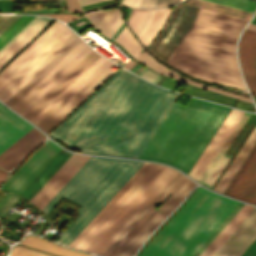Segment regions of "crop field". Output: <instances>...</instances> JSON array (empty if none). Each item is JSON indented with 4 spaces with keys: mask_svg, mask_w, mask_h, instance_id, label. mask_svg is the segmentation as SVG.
<instances>
[{
    "mask_svg": "<svg viewBox=\"0 0 256 256\" xmlns=\"http://www.w3.org/2000/svg\"><path fill=\"white\" fill-rule=\"evenodd\" d=\"M178 97L121 68L48 134L78 151L138 159Z\"/></svg>",
    "mask_w": 256,
    "mask_h": 256,
    "instance_id": "1",
    "label": "crop field"
},
{
    "mask_svg": "<svg viewBox=\"0 0 256 256\" xmlns=\"http://www.w3.org/2000/svg\"><path fill=\"white\" fill-rule=\"evenodd\" d=\"M247 21L200 8L168 64L196 78L245 89L235 59V41Z\"/></svg>",
    "mask_w": 256,
    "mask_h": 256,
    "instance_id": "2",
    "label": "crop field"
},
{
    "mask_svg": "<svg viewBox=\"0 0 256 256\" xmlns=\"http://www.w3.org/2000/svg\"><path fill=\"white\" fill-rule=\"evenodd\" d=\"M230 108L193 99L175 103L139 159L164 162L186 172Z\"/></svg>",
    "mask_w": 256,
    "mask_h": 256,
    "instance_id": "3",
    "label": "crop field"
},
{
    "mask_svg": "<svg viewBox=\"0 0 256 256\" xmlns=\"http://www.w3.org/2000/svg\"><path fill=\"white\" fill-rule=\"evenodd\" d=\"M142 163L91 156L41 210L47 214L62 197L81 206L56 240L68 246Z\"/></svg>",
    "mask_w": 256,
    "mask_h": 256,
    "instance_id": "4",
    "label": "crop field"
},
{
    "mask_svg": "<svg viewBox=\"0 0 256 256\" xmlns=\"http://www.w3.org/2000/svg\"><path fill=\"white\" fill-rule=\"evenodd\" d=\"M237 203L199 187L139 256H192Z\"/></svg>",
    "mask_w": 256,
    "mask_h": 256,
    "instance_id": "5",
    "label": "crop field"
},
{
    "mask_svg": "<svg viewBox=\"0 0 256 256\" xmlns=\"http://www.w3.org/2000/svg\"><path fill=\"white\" fill-rule=\"evenodd\" d=\"M160 164L151 163L137 178L128 190L98 221L89 233L75 247L84 250L90 242L109 224V222L125 207L140 188L158 170ZM178 173V171L161 166L150 180L133 197L126 207L111 221V223L92 241L85 251L103 255L123 229L132 219L158 194V192Z\"/></svg>",
    "mask_w": 256,
    "mask_h": 256,
    "instance_id": "6",
    "label": "crop field"
},
{
    "mask_svg": "<svg viewBox=\"0 0 256 256\" xmlns=\"http://www.w3.org/2000/svg\"><path fill=\"white\" fill-rule=\"evenodd\" d=\"M75 36L56 21L0 72V100L5 103Z\"/></svg>",
    "mask_w": 256,
    "mask_h": 256,
    "instance_id": "7",
    "label": "crop field"
},
{
    "mask_svg": "<svg viewBox=\"0 0 256 256\" xmlns=\"http://www.w3.org/2000/svg\"><path fill=\"white\" fill-rule=\"evenodd\" d=\"M199 7L248 20L253 15L252 12L205 0H189L187 4L179 3V5L174 7L171 11L160 34L148 48L149 51L161 61L168 63L188 34Z\"/></svg>",
    "mask_w": 256,
    "mask_h": 256,
    "instance_id": "8",
    "label": "crop field"
},
{
    "mask_svg": "<svg viewBox=\"0 0 256 256\" xmlns=\"http://www.w3.org/2000/svg\"><path fill=\"white\" fill-rule=\"evenodd\" d=\"M114 65L115 64L106 60L91 75L89 74L90 76H88L36 125L46 133L51 130L58 122H60L68 113H70L78 104H80L89 94H91L99 85H101L110 75L115 72L110 69Z\"/></svg>",
    "mask_w": 256,
    "mask_h": 256,
    "instance_id": "9",
    "label": "crop field"
},
{
    "mask_svg": "<svg viewBox=\"0 0 256 256\" xmlns=\"http://www.w3.org/2000/svg\"><path fill=\"white\" fill-rule=\"evenodd\" d=\"M90 50L82 41L10 108L22 115Z\"/></svg>",
    "mask_w": 256,
    "mask_h": 256,
    "instance_id": "10",
    "label": "crop field"
},
{
    "mask_svg": "<svg viewBox=\"0 0 256 256\" xmlns=\"http://www.w3.org/2000/svg\"><path fill=\"white\" fill-rule=\"evenodd\" d=\"M196 183L187 177L180 183L169 198L146 220L139 230L117 252L115 256H133L146 237L162 222V220L180 203ZM158 210L163 211L161 214Z\"/></svg>",
    "mask_w": 256,
    "mask_h": 256,
    "instance_id": "11",
    "label": "crop field"
},
{
    "mask_svg": "<svg viewBox=\"0 0 256 256\" xmlns=\"http://www.w3.org/2000/svg\"><path fill=\"white\" fill-rule=\"evenodd\" d=\"M59 150L58 146L47 141L29 156L1 188L19 195Z\"/></svg>",
    "mask_w": 256,
    "mask_h": 256,
    "instance_id": "12",
    "label": "crop field"
},
{
    "mask_svg": "<svg viewBox=\"0 0 256 256\" xmlns=\"http://www.w3.org/2000/svg\"><path fill=\"white\" fill-rule=\"evenodd\" d=\"M223 194L256 205V144Z\"/></svg>",
    "mask_w": 256,
    "mask_h": 256,
    "instance_id": "13",
    "label": "crop field"
},
{
    "mask_svg": "<svg viewBox=\"0 0 256 256\" xmlns=\"http://www.w3.org/2000/svg\"><path fill=\"white\" fill-rule=\"evenodd\" d=\"M89 157L73 154L30 202L41 210Z\"/></svg>",
    "mask_w": 256,
    "mask_h": 256,
    "instance_id": "14",
    "label": "crop field"
},
{
    "mask_svg": "<svg viewBox=\"0 0 256 256\" xmlns=\"http://www.w3.org/2000/svg\"><path fill=\"white\" fill-rule=\"evenodd\" d=\"M242 114V111L231 109L188 175L198 181Z\"/></svg>",
    "mask_w": 256,
    "mask_h": 256,
    "instance_id": "15",
    "label": "crop field"
},
{
    "mask_svg": "<svg viewBox=\"0 0 256 256\" xmlns=\"http://www.w3.org/2000/svg\"><path fill=\"white\" fill-rule=\"evenodd\" d=\"M256 238V207L213 256H240Z\"/></svg>",
    "mask_w": 256,
    "mask_h": 256,
    "instance_id": "16",
    "label": "crop field"
},
{
    "mask_svg": "<svg viewBox=\"0 0 256 256\" xmlns=\"http://www.w3.org/2000/svg\"><path fill=\"white\" fill-rule=\"evenodd\" d=\"M98 57L99 55L92 50L22 116L30 121Z\"/></svg>",
    "mask_w": 256,
    "mask_h": 256,
    "instance_id": "17",
    "label": "crop field"
},
{
    "mask_svg": "<svg viewBox=\"0 0 256 256\" xmlns=\"http://www.w3.org/2000/svg\"><path fill=\"white\" fill-rule=\"evenodd\" d=\"M35 129L33 128L2 154H0L1 168L9 171L20 163L32 148L46 138Z\"/></svg>",
    "mask_w": 256,
    "mask_h": 256,
    "instance_id": "18",
    "label": "crop field"
},
{
    "mask_svg": "<svg viewBox=\"0 0 256 256\" xmlns=\"http://www.w3.org/2000/svg\"><path fill=\"white\" fill-rule=\"evenodd\" d=\"M31 128L33 127L0 104V153Z\"/></svg>",
    "mask_w": 256,
    "mask_h": 256,
    "instance_id": "19",
    "label": "crop field"
},
{
    "mask_svg": "<svg viewBox=\"0 0 256 256\" xmlns=\"http://www.w3.org/2000/svg\"><path fill=\"white\" fill-rule=\"evenodd\" d=\"M250 113L244 112L243 116L239 120L238 124L226 140V142L223 144L215 158L212 160L204 174L201 176L198 182L202 183L206 187L210 188L213 186L229 160L231 159V156L225 154V150L230 145L234 137L237 135L241 127L246 122L247 118L249 117Z\"/></svg>",
    "mask_w": 256,
    "mask_h": 256,
    "instance_id": "20",
    "label": "crop field"
},
{
    "mask_svg": "<svg viewBox=\"0 0 256 256\" xmlns=\"http://www.w3.org/2000/svg\"><path fill=\"white\" fill-rule=\"evenodd\" d=\"M52 21V19L40 17L35 23H33L21 36H19L0 54V69Z\"/></svg>",
    "mask_w": 256,
    "mask_h": 256,
    "instance_id": "21",
    "label": "crop field"
},
{
    "mask_svg": "<svg viewBox=\"0 0 256 256\" xmlns=\"http://www.w3.org/2000/svg\"><path fill=\"white\" fill-rule=\"evenodd\" d=\"M71 154L61 149L19 196L29 201Z\"/></svg>",
    "mask_w": 256,
    "mask_h": 256,
    "instance_id": "22",
    "label": "crop field"
},
{
    "mask_svg": "<svg viewBox=\"0 0 256 256\" xmlns=\"http://www.w3.org/2000/svg\"><path fill=\"white\" fill-rule=\"evenodd\" d=\"M255 143L256 126L249 135V137L247 138V140L245 141V143L243 144V146L241 147V149L239 150V152L237 153V155L235 156V158L232 160V162L230 163V165L228 166V168L226 169V171L224 172L216 186L214 187V190L222 193V191L224 190L230 179L233 177V175L235 174V172L237 171V169L239 168V166L241 165V163L243 162V160L245 159V157L247 156V154L249 153V151L251 150Z\"/></svg>",
    "mask_w": 256,
    "mask_h": 256,
    "instance_id": "23",
    "label": "crop field"
},
{
    "mask_svg": "<svg viewBox=\"0 0 256 256\" xmlns=\"http://www.w3.org/2000/svg\"><path fill=\"white\" fill-rule=\"evenodd\" d=\"M81 41L82 40L76 36L68 45H66L50 62H48L32 79H30L5 104H7L10 107L15 101H17L27 90H29L39 79H41L51 68H53L63 57H65Z\"/></svg>",
    "mask_w": 256,
    "mask_h": 256,
    "instance_id": "24",
    "label": "crop field"
},
{
    "mask_svg": "<svg viewBox=\"0 0 256 256\" xmlns=\"http://www.w3.org/2000/svg\"><path fill=\"white\" fill-rule=\"evenodd\" d=\"M253 208L254 206L244 204L199 256H211L226 240V238L235 230V228L243 221V219L251 212Z\"/></svg>",
    "mask_w": 256,
    "mask_h": 256,
    "instance_id": "25",
    "label": "crop field"
},
{
    "mask_svg": "<svg viewBox=\"0 0 256 256\" xmlns=\"http://www.w3.org/2000/svg\"><path fill=\"white\" fill-rule=\"evenodd\" d=\"M20 244L26 245L28 247L38 249L41 251H45L51 254H55L58 256H93L84 253L75 252L61 246H58L48 240L34 237V236H27L25 237Z\"/></svg>",
    "mask_w": 256,
    "mask_h": 256,
    "instance_id": "26",
    "label": "crop field"
},
{
    "mask_svg": "<svg viewBox=\"0 0 256 256\" xmlns=\"http://www.w3.org/2000/svg\"><path fill=\"white\" fill-rule=\"evenodd\" d=\"M135 58L138 59L139 61H141L143 64L147 65L148 67H150L151 69H153V70H155V71H157L159 73L166 74L168 76L174 77L176 79L182 80L184 82H187V83H190V84L202 87V88H206V89H209V90H212V91H215V92H219V93H222V94H226V95H229V96H233V97H236V98H240V99L252 102L251 99H249V98H245V97H242V96H239V95H235V94H232V93H228V92H224V91H221V90H217V89L211 88L209 86L203 85L201 83H198V82H195V81H192V80H189V79H185V78H183V77H181V76L171 72L170 70L166 69L165 67H163L161 64L156 62L146 52L140 53Z\"/></svg>",
    "mask_w": 256,
    "mask_h": 256,
    "instance_id": "27",
    "label": "crop field"
},
{
    "mask_svg": "<svg viewBox=\"0 0 256 256\" xmlns=\"http://www.w3.org/2000/svg\"><path fill=\"white\" fill-rule=\"evenodd\" d=\"M150 163L144 164L127 181V183L116 193V195L105 205V207L95 216V218L84 228V230L73 240L69 247L74 248L76 244L88 233V231L97 223V221L107 212V210L117 201V199L127 190V188L136 180V178L146 169Z\"/></svg>",
    "mask_w": 256,
    "mask_h": 256,
    "instance_id": "28",
    "label": "crop field"
},
{
    "mask_svg": "<svg viewBox=\"0 0 256 256\" xmlns=\"http://www.w3.org/2000/svg\"><path fill=\"white\" fill-rule=\"evenodd\" d=\"M105 60L106 59L100 56V58L94 64H92L80 77H78L66 90H64L31 122L36 124L40 119H42L52 108H54L64 97H66L76 86H78L89 74H91Z\"/></svg>",
    "mask_w": 256,
    "mask_h": 256,
    "instance_id": "29",
    "label": "crop field"
},
{
    "mask_svg": "<svg viewBox=\"0 0 256 256\" xmlns=\"http://www.w3.org/2000/svg\"><path fill=\"white\" fill-rule=\"evenodd\" d=\"M169 9H161L156 10L153 16L152 22L146 32L141 37L140 41L143 42L145 45H148L152 38L157 34V32L161 29L168 13Z\"/></svg>",
    "mask_w": 256,
    "mask_h": 256,
    "instance_id": "30",
    "label": "crop field"
},
{
    "mask_svg": "<svg viewBox=\"0 0 256 256\" xmlns=\"http://www.w3.org/2000/svg\"><path fill=\"white\" fill-rule=\"evenodd\" d=\"M182 174L179 172L170 182L169 184L134 218V220L125 228V230L118 236V238L114 241V243L109 247V249L105 252V256H107L110 251L117 245V243L125 236V234L135 225V223L146 213V211L154 205L157 200L170 188V186L181 176Z\"/></svg>",
    "mask_w": 256,
    "mask_h": 256,
    "instance_id": "31",
    "label": "crop field"
},
{
    "mask_svg": "<svg viewBox=\"0 0 256 256\" xmlns=\"http://www.w3.org/2000/svg\"><path fill=\"white\" fill-rule=\"evenodd\" d=\"M114 41L118 42L133 57L142 50L140 44L131 35L126 25Z\"/></svg>",
    "mask_w": 256,
    "mask_h": 256,
    "instance_id": "32",
    "label": "crop field"
},
{
    "mask_svg": "<svg viewBox=\"0 0 256 256\" xmlns=\"http://www.w3.org/2000/svg\"><path fill=\"white\" fill-rule=\"evenodd\" d=\"M185 178V176H181L176 183L163 195V197L159 201H163L175 188L178 184ZM158 201V202H159ZM157 202V203H158ZM156 203V204H157ZM156 204L137 222V224L126 234V236L119 242V244L111 251L108 256H114L115 253L123 246V244L130 238V236L144 223V221L155 211Z\"/></svg>",
    "mask_w": 256,
    "mask_h": 256,
    "instance_id": "33",
    "label": "crop field"
},
{
    "mask_svg": "<svg viewBox=\"0 0 256 256\" xmlns=\"http://www.w3.org/2000/svg\"><path fill=\"white\" fill-rule=\"evenodd\" d=\"M35 16H21L15 23H13L1 36L0 48L4 46L15 34H17L29 21Z\"/></svg>",
    "mask_w": 256,
    "mask_h": 256,
    "instance_id": "34",
    "label": "crop field"
},
{
    "mask_svg": "<svg viewBox=\"0 0 256 256\" xmlns=\"http://www.w3.org/2000/svg\"><path fill=\"white\" fill-rule=\"evenodd\" d=\"M184 93H188V94H191V95H194V96H198V97H201V98L216 101V102L223 103V104L230 105V106H232V104L234 102V99L227 98V97H224V96H220V95H217V94H213V93H210V92H206V91H203V90H200V89H196V88L190 87L188 85L186 86V88L184 90Z\"/></svg>",
    "mask_w": 256,
    "mask_h": 256,
    "instance_id": "35",
    "label": "crop field"
},
{
    "mask_svg": "<svg viewBox=\"0 0 256 256\" xmlns=\"http://www.w3.org/2000/svg\"><path fill=\"white\" fill-rule=\"evenodd\" d=\"M209 1L229 5L232 7H236V8L252 11V12L256 7V2L249 1V0H209Z\"/></svg>",
    "mask_w": 256,
    "mask_h": 256,
    "instance_id": "36",
    "label": "crop field"
},
{
    "mask_svg": "<svg viewBox=\"0 0 256 256\" xmlns=\"http://www.w3.org/2000/svg\"><path fill=\"white\" fill-rule=\"evenodd\" d=\"M243 203L239 204L234 208V210L227 216V218L219 225V227L211 234V236L204 242V244L196 251L193 256H198L201 251L209 244V242L217 235V233L225 226V224L232 218V216L239 210Z\"/></svg>",
    "mask_w": 256,
    "mask_h": 256,
    "instance_id": "37",
    "label": "crop field"
},
{
    "mask_svg": "<svg viewBox=\"0 0 256 256\" xmlns=\"http://www.w3.org/2000/svg\"><path fill=\"white\" fill-rule=\"evenodd\" d=\"M147 9H132L131 15L128 19L129 26L132 28L133 32H136L145 12Z\"/></svg>",
    "mask_w": 256,
    "mask_h": 256,
    "instance_id": "38",
    "label": "crop field"
},
{
    "mask_svg": "<svg viewBox=\"0 0 256 256\" xmlns=\"http://www.w3.org/2000/svg\"><path fill=\"white\" fill-rule=\"evenodd\" d=\"M9 256H51V255L37 252L25 247L16 246V247H13Z\"/></svg>",
    "mask_w": 256,
    "mask_h": 256,
    "instance_id": "39",
    "label": "crop field"
},
{
    "mask_svg": "<svg viewBox=\"0 0 256 256\" xmlns=\"http://www.w3.org/2000/svg\"><path fill=\"white\" fill-rule=\"evenodd\" d=\"M179 1L181 0H142L140 7L160 8Z\"/></svg>",
    "mask_w": 256,
    "mask_h": 256,
    "instance_id": "40",
    "label": "crop field"
},
{
    "mask_svg": "<svg viewBox=\"0 0 256 256\" xmlns=\"http://www.w3.org/2000/svg\"><path fill=\"white\" fill-rule=\"evenodd\" d=\"M120 17H121V14L119 12V9L117 8L114 10L112 17L110 18V20L108 21V23L106 24L105 28L102 30L101 33L104 34L106 37H108V35L113 30L118 20L120 19Z\"/></svg>",
    "mask_w": 256,
    "mask_h": 256,
    "instance_id": "41",
    "label": "crop field"
},
{
    "mask_svg": "<svg viewBox=\"0 0 256 256\" xmlns=\"http://www.w3.org/2000/svg\"><path fill=\"white\" fill-rule=\"evenodd\" d=\"M18 199L19 197L11 194L0 206V217L3 218Z\"/></svg>",
    "mask_w": 256,
    "mask_h": 256,
    "instance_id": "42",
    "label": "crop field"
},
{
    "mask_svg": "<svg viewBox=\"0 0 256 256\" xmlns=\"http://www.w3.org/2000/svg\"><path fill=\"white\" fill-rule=\"evenodd\" d=\"M154 11L155 10H151V9L147 10V12L145 14V17H144V19H143V21H142V23H141L137 33H136L139 38L143 34V32L146 30V28L148 27V25H149V23H150V21L152 19V16L154 14Z\"/></svg>",
    "mask_w": 256,
    "mask_h": 256,
    "instance_id": "43",
    "label": "crop field"
},
{
    "mask_svg": "<svg viewBox=\"0 0 256 256\" xmlns=\"http://www.w3.org/2000/svg\"><path fill=\"white\" fill-rule=\"evenodd\" d=\"M20 16H0V35Z\"/></svg>",
    "mask_w": 256,
    "mask_h": 256,
    "instance_id": "44",
    "label": "crop field"
},
{
    "mask_svg": "<svg viewBox=\"0 0 256 256\" xmlns=\"http://www.w3.org/2000/svg\"><path fill=\"white\" fill-rule=\"evenodd\" d=\"M138 75L142 76L143 78L155 83L157 81V79L160 77V75L144 68ZM161 78V77H160ZM159 78V79H160ZM158 79V80H159Z\"/></svg>",
    "mask_w": 256,
    "mask_h": 256,
    "instance_id": "45",
    "label": "crop field"
},
{
    "mask_svg": "<svg viewBox=\"0 0 256 256\" xmlns=\"http://www.w3.org/2000/svg\"><path fill=\"white\" fill-rule=\"evenodd\" d=\"M114 9H109L107 10V12L105 13V15L102 17V19L98 22V24L95 26L96 29L98 31L101 32L102 28L105 26V24L107 23L108 19L110 18L112 12Z\"/></svg>",
    "mask_w": 256,
    "mask_h": 256,
    "instance_id": "46",
    "label": "crop field"
},
{
    "mask_svg": "<svg viewBox=\"0 0 256 256\" xmlns=\"http://www.w3.org/2000/svg\"><path fill=\"white\" fill-rule=\"evenodd\" d=\"M105 12H106V10L105 11H100V12H95V13H88L86 16L88 17V19L95 26L97 24V22L101 19V17L103 16V14Z\"/></svg>",
    "mask_w": 256,
    "mask_h": 256,
    "instance_id": "47",
    "label": "crop field"
},
{
    "mask_svg": "<svg viewBox=\"0 0 256 256\" xmlns=\"http://www.w3.org/2000/svg\"><path fill=\"white\" fill-rule=\"evenodd\" d=\"M39 16H36L31 22H29L17 35H15L4 47L0 49V53L8 47L19 35H21L33 22H35Z\"/></svg>",
    "mask_w": 256,
    "mask_h": 256,
    "instance_id": "48",
    "label": "crop field"
},
{
    "mask_svg": "<svg viewBox=\"0 0 256 256\" xmlns=\"http://www.w3.org/2000/svg\"><path fill=\"white\" fill-rule=\"evenodd\" d=\"M242 256H256V240L254 243L243 253Z\"/></svg>",
    "mask_w": 256,
    "mask_h": 256,
    "instance_id": "49",
    "label": "crop field"
},
{
    "mask_svg": "<svg viewBox=\"0 0 256 256\" xmlns=\"http://www.w3.org/2000/svg\"><path fill=\"white\" fill-rule=\"evenodd\" d=\"M140 0H123L121 5L138 7Z\"/></svg>",
    "mask_w": 256,
    "mask_h": 256,
    "instance_id": "50",
    "label": "crop field"
},
{
    "mask_svg": "<svg viewBox=\"0 0 256 256\" xmlns=\"http://www.w3.org/2000/svg\"><path fill=\"white\" fill-rule=\"evenodd\" d=\"M112 2H114V0H108V1L100 2V3H96V4L84 5V6H81V7H82V9H85V8L98 6V5H103V4L112 3Z\"/></svg>",
    "mask_w": 256,
    "mask_h": 256,
    "instance_id": "51",
    "label": "crop field"
},
{
    "mask_svg": "<svg viewBox=\"0 0 256 256\" xmlns=\"http://www.w3.org/2000/svg\"><path fill=\"white\" fill-rule=\"evenodd\" d=\"M8 176V173L0 170V184L5 180V178Z\"/></svg>",
    "mask_w": 256,
    "mask_h": 256,
    "instance_id": "52",
    "label": "crop field"
},
{
    "mask_svg": "<svg viewBox=\"0 0 256 256\" xmlns=\"http://www.w3.org/2000/svg\"><path fill=\"white\" fill-rule=\"evenodd\" d=\"M81 5L95 3L103 0H79Z\"/></svg>",
    "mask_w": 256,
    "mask_h": 256,
    "instance_id": "53",
    "label": "crop field"
},
{
    "mask_svg": "<svg viewBox=\"0 0 256 256\" xmlns=\"http://www.w3.org/2000/svg\"><path fill=\"white\" fill-rule=\"evenodd\" d=\"M123 23L122 18L120 19L119 23L117 24V26L114 28V30L112 31V33L109 35L108 38L111 39V37L114 35V33L117 31V29L121 26V24Z\"/></svg>",
    "mask_w": 256,
    "mask_h": 256,
    "instance_id": "54",
    "label": "crop field"
},
{
    "mask_svg": "<svg viewBox=\"0 0 256 256\" xmlns=\"http://www.w3.org/2000/svg\"><path fill=\"white\" fill-rule=\"evenodd\" d=\"M75 12H82L77 0H72Z\"/></svg>",
    "mask_w": 256,
    "mask_h": 256,
    "instance_id": "55",
    "label": "crop field"
},
{
    "mask_svg": "<svg viewBox=\"0 0 256 256\" xmlns=\"http://www.w3.org/2000/svg\"><path fill=\"white\" fill-rule=\"evenodd\" d=\"M67 9L68 11H73L71 0H66ZM74 12V11H73Z\"/></svg>",
    "mask_w": 256,
    "mask_h": 256,
    "instance_id": "56",
    "label": "crop field"
},
{
    "mask_svg": "<svg viewBox=\"0 0 256 256\" xmlns=\"http://www.w3.org/2000/svg\"><path fill=\"white\" fill-rule=\"evenodd\" d=\"M251 23H255V24H256V15H255V17L253 18V20L251 21Z\"/></svg>",
    "mask_w": 256,
    "mask_h": 256,
    "instance_id": "57",
    "label": "crop field"
},
{
    "mask_svg": "<svg viewBox=\"0 0 256 256\" xmlns=\"http://www.w3.org/2000/svg\"><path fill=\"white\" fill-rule=\"evenodd\" d=\"M248 27L256 28V26H255V25H251V24H249V26H248Z\"/></svg>",
    "mask_w": 256,
    "mask_h": 256,
    "instance_id": "58",
    "label": "crop field"
}]
</instances>
